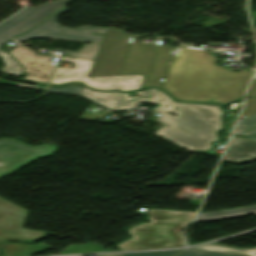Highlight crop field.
Returning <instances> with one entry per match:
<instances>
[{
    "label": "crop field",
    "instance_id": "crop-field-1",
    "mask_svg": "<svg viewBox=\"0 0 256 256\" xmlns=\"http://www.w3.org/2000/svg\"><path fill=\"white\" fill-rule=\"evenodd\" d=\"M141 96L153 95L150 99L128 97L129 93L97 92L83 87L84 95L111 110L137 109L141 102L161 104L155 111L162 114L156 120L166 124L156 134L190 150L207 151L212 141H218L216 131L223 127L221 116L225 111L215 105L177 103L160 90L147 89L136 92ZM173 111L174 117L166 112Z\"/></svg>",
    "mask_w": 256,
    "mask_h": 256
},
{
    "label": "crop field",
    "instance_id": "crop-field-2",
    "mask_svg": "<svg viewBox=\"0 0 256 256\" xmlns=\"http://www.w3.org/2000/svg\"><path fill=\"white\" fill-rule=\"evenodd\" d=\"M209 50L180 47L163 89L179 101L225 104L243 96L253 72H233L215 66Z\"/></svg>",
    "mask_w": 256,
    "mask_h": 256
},
{
    "label": "crop field",
    "instance_id": "crop-field-3",
    "mask_svg": "<svg viewBox=\"0 0 256 256\" xmlns=\"http://www.w3.org/2000/svg\"><path fill=\"white\" fill-rule=\"evenodd\" d=\"M57 147L53 145L31 147L20 140L0 138V161L5 164L0 167V177L38 157L54 155ZM28 212L0 197V242L2 239L36 241L46 236L45 232L22 228Z\"/></svg>",
    "mask_w": 256,
    "mask_h": 256
},
{
    "label": "crop field",
    "instance_id": "crop-field-4",
    "mask_svg": "<svg viewBox=\"0 0 256 256\" xmlns=\"http://www.w3.org/2000/svg\"><path fill=\"white\" fill-rule=\"evenodd\" d=\"M151 223L128 229L132 239L116 244L120 251L183 247L179 229L186 226L196 212L149 209Z\"/></svg>",
    "mask_w": 256,
    "mask_h": 256
},
{
    "label": "crop field",
    "instance_id": "crop-field-5",
    "mask_svg": "<svg viewBox=\"0 0 256 256\" xmlns=\"http://www.w3.org/2000/svg\"><path fill=\"white\" fill-rule=\"evenodd\" d=\"M61 61L74 63L73 69H70V65L67 68L57 67L51 83L63 84L65 82L81 81L84 85L96 90L118 89L128 91L140 89L144 78L140 75L87 77L93 61L66 57H62Z\"/></svg>",
    "mask_w": 256,
    "mask_h": 256
},
{
    "label": "crop field",
    "instance_id": "crop-field-6",
    "mask_svg": "<svg viewBox=\"0 0 256 256\" xmlns=\"http://www.w3.org/2000/svg\"><path fill=\"white\" fill-rule=\"evenodd\" d=\"M70 1L71 0H58L45 3L39 8L25 7L20 13L0 24V45L11 37L27 31ZM0 56L3 57L6 63V66L1 71L20 76L22 68L18 63L7 52L0 51Z\"/></svg>",
    "mask_w": 256,
    "mask_h": 256
},
{
    "label": "crop field",
    "instance_id": "crop-field-7",
    "mask_svg": "<svg viewBox=\"0 0 256 256\" xmlns=\"http://www.w3.org/2000/svg\"><path fill=\"white\" fill-rule=\"evenodd\" d=\"M67 8L63 7L34 29L14 38L18 42H24L28 39H38L43 37L63 39V40H75L86 42H98L101 43L104 36L91 35L92 32L106 33L108 28L104 27H80L76 29L62 28L57 23L56 19L61 14L65 13ZM29 41V40H28Z\"/></svg>",
    "mask_w": 256,
    "mask_h": 256
},
{
    "label": "crop field",
    "instance_id": "crop-field-8",
    "mask_svg": "<svg viewBox=\"0 0 256 256\" xmlns=\"http://www.w3.org/2000/svg\"><path fill=\"white\" fill-rule=\"evenodd\" d=\"M131 35L109 28L88 76L119 75Z\"/></svg>",
    "mask_w": 256,
    "mask_h": 256
},
{
    "label": "crop field",
    "instance_id": "crop-field-9",
    "mask_svg": "<svg viewBox=\"0 0 256 256\" xmlns=\"http://www.w3.org/2000/svg\"><path fill=\"white\" fill-rule=\"evenodd\" d=\"M158 46L143 45L138 36H132L120 75L149 76Z\"/></svg>",
    "mask_w": 256,
    "mask_h": 256
},
{
    "label": "crop field",
    "instance_id": "crop-field-10",
    "mask_svg": "<svg viewBox=\"0 0 256 256\" xmlns=\"http://www.w3.org/2000/svg\"><path fill=\"white\" fill-rule=\"evenodd\" d=\"M10 53L25 67L23 74L29 73L25 79L43 83L49 82V78L55 67L52 65L53 62L49 61V57L36 56L33 51L25 46H20L10 51ZM33 74L36 77L32 76Z\"/></svg>",
    "mask_w": 256,
    "mask_h": 256
},
{
    "label": "crop field",
    "instance_id": "crop-field-11",
    "mask_svg": "<svg viewBox=\"0 0 256 256\" xmlns=\"http://www.w3.org/2000/svg\"><path fill=\"white\" fill-rule=\"evenodd\" d=\"M223 159L237 163L256 159V142L232 137Z\"/></svg>",
    "mask_w": 256,
    "mask_h": 256
},
{
    "label": "crop field",
    "instance_id": "crop-field-12",
    "mask_svg": "<svg viewBox=\"0 0 256 256\" xmlns=\"http://www.w3.org/2000/svg\"><path fill=\"white\" fill-rule=\"evenodd\" d=\"M174 49L159 46L156 54L155 62L153 65L152 73L150 77H145L142 87H155L160 88L162 84L159 83L160 79L165 76L167 64L170 60Z\"/></svg>",
    "mask_w": 256,
    "mask_h": 256
},
{
    "label": "crop field",
    "instance_id": "crop-field-13",
    "mask_svg": "<svg viewBox=\"0 0 256 256\" xmlns=\"http://www.w3.org/2000/svg\"><path fill=\"white\" fill-rule=\"evenodd\" d=\"M256 214V206L199 214L195 222Z\"/></svg>",
    "mask_w": 256,
    "mask_h": 256
},
{
    "label": "crop field",
    "instance_id": "crop-field-14",
    "mask_svg": "<svg viewBox=\"0 0 256 256\" xmlns=\"http://www.w3.org/2000/svg\"><path fill=\"white\" fill-rule=\"evenodd\" d=\"M100 45L101 44H98V43L84 45L83 49H81L78 53L66 51V50H58V49H53V50L63 52L65 55H69V56L94 60Z\"/></svg>",
    "mask_w": 256,
    "mask_h": 256
},
{
    "label": "crop field",
    "instance_id": "crop-field-15",
    "mask_svg": "<svg viewBox=\"0 0 256 256\" xmlns=\"http://www.w3.org/2000/svg\"><path fill=\"white\" fill-rule=\"evenodd\" d=\"M196 249L217 251V252L244 255V256H256V248L250 249L248 251H244V250H239V249L223 247V246H219V245L207 244V245H203L200 247H196Z\"/></svg>",
    "mask_w": 256,
    "mask_h": 256
},
{
    "label": "crop field",
    "instance_id": "crop-field-16",
    "mask_svg": "<svg viewBox=\"0 0 256 256\" xmlns=\"http://www.w3.org/2000/svg\"><path fill=\"white\" fill-rule=\"evenodd\" d=\"M34 245H30V244H24V243H2L0 244V247L2 249H0L1 252H4V255H0V256H13L17 253H20L30 247H32Z\"/></svg>",
    "mask_w": 256,
    "mask_h": 256
},
{
    "label": "crop field",
    "instance_id": "crop-field-17",
    "mask_svg": "<svg viewBox=\"0 0 256 256\" xmlns=\"http://www.w3.org/2000/svg\"><path fill=\"white\" fill-rule=\"evenodd\" d=\"M109 250H112V249H106L104 247L93 245V244H86V245H72L59 253L67 254V253H81V252H95V251H109Z\"/></svg>",
    "mask_w": 256,
    "mask_h": 256
},
{
    "label": "crop field",
    "instance_id": "crop-field-18",
    "mask_svg": "<svg viewBox=\"0 0 256 256\" xmlns=\"http://www.w3.org/2000/svg\"><path fill=\"white\" fill-rule=\"evenodd\" d=\"M256 127V113L239 120L234 134L241 135L244 131Z\"/></svg>",
    "mask_w": 256,
    "mask_h": 256
},
{
    "label": "crop field",
    "instance_id": "crop-field-19",
    "mask_svg": "<svg viewBox=\"0 0 256 256\" xmlns=\"http://www.w3.org/2000/svg\"><path fill=\"white\" fill-rule=\"evenodd\" d=\"M82 86L81 84H68L62 87L51 86L47 91L51 92H62V93H72L79 94L81 93Z\"/></svg>",
    "mask_w": 256,
    "mask_h": 256
},
{
    "label": "crop field",
    "instance_id": "crop-field-20",
    "mask_svg": "<svg viewBox=\"0 0 256 256\" xmlns=\"http://www.w3.org/2000/svg\"><path fill=\"white\" fill-rule=\"evenodd\" d=\"M177 256H237V255L223 254V253L196 250V249H188Z\"/></svg>",
    "mask_w": 256,
    "mask_h": 256
},
{
    "label": "crop field",
    "instance_id": "crop-field-21",
    "mask_svg": "<svg viewBox=\"0 0 256 256\" xmlns=\"http://www.w3.org/2000/svg\"><path fill=\"white\" fill-rule=\"evenodd\" d=\"M52 247L45 245L43 243H40L18 255L15 256H29L30 254H34V253H39V252H43V251H47L49 249H51Z\"/></svg>",
    "mask_w": 256,
    "mask_h": 256
},
{
    "label": "crop field",
    "instance_id": "crop-field-22",
    "mask_svg": "<svg viewBox=\"0 0 256 256\" xmlns=\"http://www.w3.org/2000/svg\"><path fill=\"white\" fill-rule=\"evenodd\" d=\"M179 251H166V252H148V253H132V254H123L124 256H172Z\"/></svg>",
    "mask_w": 256,
    "mask_h": 256
},
{
    "label": "crop field",
    "instance_id": "crop-field-23",
    "mask_svg": "<svg viewBox=\"0 0 256 256\" xmlns=\"http://www.w3.org/2000/svg\"><path fill=\"white\" fill-rule=\"evenodd\" d=\"M256 112V98H247L246 107L243 111L241 118ZM240 118V119H241Z\"/></svg>",
    "mask_w": 256,
    "mask_h": 256
},
{
    "label": "crop field",
    "instance_id": "crop-field-24",
    "mask_svg": "<svg viewBox=\"0 0 256 256\" xmlns=\"http://www.w3.org/2000/svg\"><path fill=\"white\" fill-rule=\"evenodd\" d=\"M248 97H256V75H255L253 82L250 86Z\"/></svg>",
    "mask_w": 256,
    "mask_h": 256
},
{
    "label": "crop field",
    "instance_id": "crop-field-25",
    "mask_svg": "<svg viewBox=\"0 0 256 256\" xmlns=\"http://www.w3.org/2000/svg\"><path fill=\"white\" fill-rule=\"evenodd\" d=\"M15 86H17V87H25V88H33V89H41V90H45V88H46V86H42V85H38V84H36L35 86H32V85H26V84L17 83Z\"/></svg>",
    "mask_w": 256,
    "mask_h": 256
},
{
    "label": "crop field",
    "instance_id": "crop-field-26",
    "mask_svg": "<svg viewBox=\"0 0 256 256\" xmlns=\"http://www.w3.org/2000/svg\"><path fill=\"white\" fill-rule=\"evenodd\" d=\"M242 135H246V136H256V128H253L251 130H248L246 132H244Z\"/></svg>",
    "mask_w": 256,
    "mask_h": 256
},
{
    "label": "crop field",
    "instance_id": "crop-field-27",
    "mask_svg": "<svg viewBox=\"0 0 256 256\" xmlns=\"http://www.w3.org/2000/svg\"><path fill=\"white\" fill-rule=\"evenodd\" d=\"M96 256H123L122 254H114V255H96Z\"/></svg>",
    "mask_w": 256,
    "mask_h": 256
},
{
    "label": "crop field",
    "instance_id": "crop-field-28",
    "mask_svg": "<svg viewBox=\"0 0 256 256\" xmlns=\"http://www.w3.org/2000/svg\"><path fill=\"white\" fill-rule=\"evenodd\" d=\"M247 138H251V139H255L256 140V137H247Z\"/></svg>",
    "mask_w": 256,
    "mask_h": 256
},
{
    "label": "crop field",
    "instance_id": "crop-field-29",
    "mask_svg": "<svg viewBox=\"0 0 256 256\" xmlns=\"http://www.w3.org/2000/svg\"><path fill=\"white\" fill-rule=\"evenodd\" d=\"M3 165L1 162H0V166Z\"/></svg>",
    "mask_w": 256,
    "mask_h": 256
},
{
    "label": "crop field",
    "instance_id": "crop-field-30",
    "mask_svg": "<svg viewBox=\"0 0 256 256\" xmlns=\"http://www.w3.org/2000/svg\"><path fill=\"white\" fill-rule=\"evenodd\" d=\"M98 1H100V0H98Z\"/></svg>",
    "mask_w": 256,
    "mask_h": 256
}]
</instances>
